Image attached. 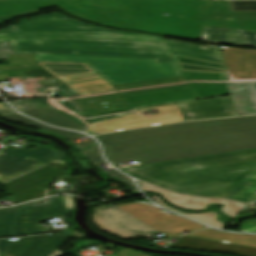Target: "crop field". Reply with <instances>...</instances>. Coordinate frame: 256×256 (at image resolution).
<instances>
[{
    "label": "crop field",
    "instance_id": "1",
    "mask_svg": "<svg viewBox=\"0 0 256 256\" xmlns=\"http://www.w3.org/2000/svg\"><path fill=\"white\" fill-rule=\"evenodd\" d=\"M51 5L84 21L152 33L199 38L205 26L256 31V12H233L217 0H0V17Z\"/></svg>",
    "mask_w": 256,
    "mask_h": 256
},
{
    "label": "crop field",
    "instance_id": "2",
    "mask_svg": "<svg viewBox=\"0 0 256 256\" xmlns=\"http://www.w3.org/2000/svg\"><path fill=\"white\" fill-rule=\"evenodd\" d=\"M10 41L16 53H85L172 61L170 54H182L221 61L218 46L208 47L169 41L159 36L113 31L90 26L62 14L21 20L0 30V42Z\"/></svg>",
    "mask_w": 256,
    "mask_h": 256
},
{
    "label": "crop field",
    "instance_id": "3",
    "mask_svg": "<svg viewBox=\"0 0 256 256\" xmlns=\"http://www.w3.org/2000/svg\"><path fill=\"white\" fill-rule=\"evenodd\" d=\"M112 162L141 165L256 148V116L178 123L97 137Z\"/></svg>",
    "mask_w": 256,
    "mask_h": 256
},
{
    "label": "crop field",
    "instance_id": "4",
    "mask_svg": "<svg viewBox=\"0 0 256 256\" xmlns=\"http://www.w3.org/2000/svg\"><path fill=\"white\" fill-rule=\"evenodd\" d=\"M121 170L171 191L223 198L243 178L256 170V150Z\"/></svg>",
    "mask_w": 256,
    "mask_h": 256
},
{
    "label": "crop field",
    "instance_id": "5",
    "mask_svg": "<svg viewBox=\"0 0 256 256\" xmlns=\"http://www.w3.org/2000/svg\"><path fill=\"white\" fill-rule=\"evenodd\" d=\"M35 62L85 63L112 85L180 76L174 61L85 54H38Z\"/></svg>",
    "mask_w": 256,
    "mask_h": 256
},
{
    "label": "crop field",
    "instance_id": "6",
    "mask_svg": "<svg viewBox=\"0 0 256 256\" xmlns=\"http://www.w3.org/2000/svg\"><path fill=\"white\" fill-rule=\"evenodd\" d=\"M74 208L70 196L54 197L17 207L9 237L43 233L39 222L49 217H65L68 209Z\"/></svg>",
    "mask_w": 256,
    "mask_h": 256
},
{
    "label": "crop field",
    "instance_id": "7",
    "mask_svg": "<svg viewBox=\"0 0 256 256\" xmlns=\"http://www.w3.org/2000/svg\"><path fill=\"white\" fill-rule=\"evenodd\" d=\"M59 160H62L61 157L51 147H40L32 150L24 147L16 151L7 146L0 153V182L4 184L45 163Z\"/></svg>",
    "mask_w": 256,
    "mask_h": 256
},
{
    "label": "crop field",
    "instance_id": "8",
    "mask_svg": "<svg viewBox=\"0 0 256 256\" xmlns=\"http://www.w3.org/2000/svg\"><path fill=\"white\" fill-rule=\"evenodd\" d=\"M92 222L98 229L124 239L159 234L114 206L93 208Z\"/></svg>",
    "mask_w": 256,
    "mask_h": 256
},
{
    "label": "crop field",
    "instance_id": "9",
    "mask_svg": "<svg viewBox=\"0 0 256 256\" xmlns=\"http://www.w3.org/2000/svg\"><path fill=\"white\" fill-rule=\"evenodd\" d=\"M38 100L49 105L50 107L62 112L63 114L67 115L70 119L80 123L82 126L87 127V129H90V127L94 123L143 116L144 114H142V112L146 111V110H150V109H158L159 113L180 110L178 104H176V105H166V106L134 110V111H128V112L105 114V115H99V116L88 118L70 98H67V99H38Z\"/></svg>",
    "mask_w": 256,
    "mask_h": 256
},
{
    "label": "crop field",
    "instance_id": "10",
    "mask_svg": "<svg viewBox=\"0 0 256 256\" xmlns=\"http://www.w3.org/2000/svg\"><path fill=\"white\" fill-rule=\"evenodd\" d=\"M68 237L59 233L52 236L20 238L14 242L8 240L5 256H58L63 253L57 249L67 243Z\"/></svg>",
    "mask_w": 256,
    "mask_h": 256
},
{
    "label": "crop field",
    "instance_id": "11",
    "mask_svg": "<svg viewBox=\"0 0 256 256\" xmlns=\"http://www.w3.org/2000/svg\"><path fill=\"white\" fill-rule=\"evenodd\" d=\"M179 105L185 121L236 116L231 95Z\"/></svg>",
    "mask_w": 256,
    "mask_h": 256
},
{
    "label": "crop field",
    "instance_id": "12",
    "mask_svg": "<svg viewBox=\"0 0 256 256\" xmlns=\"http://www.w3.org/2000/svg\"><path fill=\"white\" fill-rule=\"evenodd\" d=\"M226 79L237 116L256 114V78L226 76Z\"/></svg>",
    "mask_w": 256,
    "mask_h": 256
},
{
    "label": "crop field",
    "instance_id": "13",
    "mask_svg": "<svg viewBox=\"0 0 256 256\" xmlns=\"http://www.w3.org/2000/svg\"><path fill=\"white\" fill-rule=\"evenodd\" d=\"M184 121L180 111L94 124L87 132L91 135L133 129L163 123Z\"/></svg>",
    "mask_w": 256,
    "mask_h": 256
},
{
    "label": "crop field",
    "instance_id": "14",
    "mask_svg": "<svg viewBox=\"0 0 256 256\" xmlns=\"http://www.w3.org/2000/svg\"><path fill=\"white\" fill-rule=\"evenodd\" d=\"M144 191L159 192L169 200L171 203L187 209H205L207 204L220 203L224 204L222 211L232 216L233 218L246 206L245 204L235 203L227 200H212L195 197L181 196L178 194L170 193L159 188L153 187L146 183L140 182ZM231 217V218H232Z\"/></svg>",
    "mask_w": 256,
    "mask_h": 256
},
{
    "label": "crop field",
    "instance_id": "15",
    "mask_svg": "<svg viewBox=\"0 0 256 256\" xmlns=\"http://www.w3.org/2000/svg\"><path fill=\"white\" fill-rule=\"evenodd\" d=\"M51 164H53L54 166L51 167L50 164H46L4 185L9 190V192L15 193L23 189L35 186L37 184L49 181L51 179L61 177L56 172L67 169L66 163L64 161H59Z\"/></svg>",
    "mask_w": 256,
    "mask_h": 256
},
{
    "label": "crop field",
    "instance_id": "16",
    "mask_svg": "<svg viewBox=\"0 0 256 256\" xmlns=\"http://www.w3.org/2000/svg\"><path fill=\"white\" fill-rule=\"evenodd\" d=\"M200 39L206 42L256 47V32L206 27Z\"/></svg>",
    "mask_w": 256,
    "mask_h": 256
},
{
    "label": "crop field",
    "instance_id": "17",
    "mask_svg": "<svg viewBox=\"0 0 256 256\" xmlns=\"http://www.w3.org/2000/svg\"><path fill=\"white\" fill-rule=\"evenodd\" d=\"M181 72L223 74V63L172 54Z\"/></svg>",
    "mask_w": 256,
    "mask_h": 256
},
{
    "label": "crop field",
    "instance_id": "18",
    "mask_svg": "<svg viewBox=\"0 0 256 256\" xmlns=\"http://www.w3.org/2000/svg\"><path fill=\"white\" fill-rule=\"evenodd\" d=\"M27 85L23 86L25 90H33L34 92L53 91V92L59 94L60 97H62V98L79 96L76 92H74L70 88H68L59 79L45 81V82H39V83H33V84H30L31 86H27Z\"/></svg>",
    "mask_w": 256,
    "mask_h": 256
},
{
    "label": "crop field",
    "instance_id": "19",
    "mask_svg": "<svg viewBox=\"0 0 256 256\" xmlns=\"http://www.w3.org/2000/svg\"><path fill=\"white\" fill-rule=\"evenodd\" d=\"M255 193H256V180L246 178L226 198L245 202V203H252L256 201Z\"/></svg>",
    "mask_w": 256,
    "mask_h": 256
},
{
    "label": "crop field",
    "instance_id": "20",
    "mask_svg": "<svg viewBox=\"0 0 256 256\" xmlns=\"http://www.w3.org/2000/svg\"><path fill=\"white\" fill-rule=\"evenodd\" d=\"M82 154L85 155L86 158L90 159L95 165H100V164H104L105 161L101 158L100 154H99V150H98V146L97 144L94 145L92 148H90L89 150H84L81 151ZM99 167V166H98ZM100 168V167H99ZM100 170L104 171L103 169L100 168ZM105 172V171H104ZM108 175H110L111 177H115L118 180L122 181L124 184H126L130 190H132L133 192H139V190L136 188V186L134 185V183L132 182V180L127 177L124 176L122 174H120L119 172L112 170V171H108L105 172Z\"/></svg>",
    "mask_w": 256,
    "mask_h": 256
},
{
    "label": "crop field",
    "instance_id": "21",
    "mask_svg": "<svg viewBox=\"0 0 256 256\" xmlns=\"http://www.w3.org/2000/svg\"><path fill=\"white\" fill-rule=\"evenodd\" d=\"M9 74L10 78L14 77L16 83H20L19 81H22L23 84L56 79L55 76L44 69L14 71L9 72Z\"/></svg>",
    "mask_w": 256,
    "mask_h": 256
},
{
    "label": "crop field",
    "instance_id": "22",
    "mask_svg": "<svg viewBox=\"0 0 256 256\" xmlns=\"http://www.w3.org/2000/svg\"><path fill=\"white\" fill-rule=\"evenodd\" d=\"M23 113L26 115H29L33 118H36L38 120H41L47 124H52V123L68 120V118H66L62 114L58 113L57 111H55L49 107L36 109V110H32V111H27V112H23Z\"/></svg>",
    "mask_w": 256,
    "mask_h": 256
},
{
    "label": "crop field",
    "instance_id": "23",
    "mask_svg": "<svg viewBox=\"0 0 256 256\" xmlns=\"http://www.w3.org/2000/svg\"><path fill=\"white\" fill-rule=\"evenodd\" d=\"M159 205L165 207V208H168L165 204H163L161 202V199H159L158 197L156 196H151ZM170 209V208H168ZM172 210V209H170ZM172 211H175V212H178L180 214H183V215H186V216H189L191 218H194L198 221H201L203 223H206L212 227H215V228H218V229H222V222H220L219 220L216 219V214L214 213H206V214H202V215H190V214H184L182 212H179V211H176V210H172Z\"/></svg>",
    "mask_w": 256,
    "mask_h": 256
},
{
    "label": "crop field",
    "instance_id": "24",
    "mask_svg": "<svg viewBox=\"0 0 256 256\" xmlns=\"http://www.w3.org/2000/svg\"><path fill=\"white\" fill-rule=\"evenodd\" d=\"M16 207L0 209V238L9 236Z\"/></svg>",
    "mask_w": 256,
    "mask_h": 256
},
{
    "label": "crop field",
    "instance_id": "25",
    "mask_svg": "<svg viewBox=\"0 0 256 256\" xmlns=\"http://www.w3.org/2000/svg\"><path fill=\"white\" fill-rule=\"evenodd\" d=\"M10 103L20 112L45 107L44 104L36 99L15 100L11 101Z\"/></svg>",
    "mask_w": 256,
    "mask_h": 256
},
{
    "label": "crop field",
    "instance_id": "26",
    "mask_svg": "<svg viewBox=\"0 0 256 256\" xmlns=\"http://www.w3.org/2000/svg\"><path fill=\"white\" fill-rule=\"evenodd\" d=\"M234 11H256V1H229Z\"/></svg>",
    "mask_w": 256,
    "mask_h": 256
},
{
    "label": "crop field",
    "instance_id": "27",
    "mask_svg": "<svg viewBox=\"0 0 256 256\" xmlns=\"http://www.w3.org/2000/svg\"><path fill=\"white\" fill-rule=\"evenodd\" d=\"M3 119H6L8 121H17V122H22L26 125H29V126H34V127H37V128H42V127H46L40 123H37L35 121H32L26 117H23L19 114H15V115H11V116H7V117H3Z\"/></svg>",
    "mask_w": 256,
    "mask_h": 256
},
{
    "label": "crop field",
    "instance_id": "28",
    "mask_svg": "<svg viewBox=\"0 0 256 256\" xmlns=\"http://www.w3.org/2000/svg\"><path fill=\"white\" fill-rule=\"evenodd\" d=\"M54 126L61 127V128H67V129H73V130H79V131H84L86 128L80 126L79 124L69 120L57 124H53Z\"/></svg>",
    "mask_w": 256,
    "mask_h": 256
},
{
    "label": "crop field",
    "instance_id": "29",
    "mask_svg": "<svg viewBox=\"0 0 256 256\" xmlns=\"http://www.w3.org/2000/svg\"><path fill=\"white\" fill-rule=\"evenodd\" d=\"M240 229L241 231H246V232H256V219L244 221Z\"/></svg>",
    "mask_w": 256,
    "mask_h": 256
},
{
    "label": "crop field",
    "instance_id": "30",
    "mask_svg": "<svg viewBox=\"0 0 256 256\" xmlns=\"http://www.w3.org/2000/svg\"><path fill=\"white\" fill-rule=\"evenodd\" d=\"M42 129H46L51 132L58 133L67 139H69L71 136L76 137V136L82 135L80 133H75V132L66 131V130H59V129L50 128V127H46V128H42Z\"/></svg>",
    "mask_w": 256,
    "mask_h": 256
},
{
    "label": "crop field",
    "instance_id": "31",
    "mask_svg": "<svg viewBox=\"0 0 256 256\" xmlns=\"http://www.w3.org/2000/svg\"><path fill=\"white\" fill-rule=\"evenodd\" d=\"M15 54L10 42L0 43V55Z\"/></svg>",
    "mask_w": 256,
    "mask_h": 256
},
{
    "label": "crop field",
    "instance_id": "32",
    "mask_svg": "<svg viewBox=\"0 0 256 256\" xmlns=\"http://www.w3.org/2000/svg\"><path fill=\"white\" fill-rule=\"evenodd\" d=\"M15 114V112L3 102H0V117Z\"/></svg>",
    "mask_w": 256,
    "mask_h": 256
},
{
    "label": "crop field",
    "instance_id": "33",
    "mask_svg": "<svg viewBox=\"0 0 256 256\" xmlns=\"http://www.w3.org/2000/svg\"><path fill=\"white\" fill-rule=\"evenodd\" d=\"M103 256H106V255H103ZM115 256H147V255L141 254V253L136 252V251L124 249L123 252H121V253H119Z\"/></svg>",
    "mask_w": 256,
    "mask_h": 256
},
{
    "label": "crop field",
    "instance_id": "34",
    "mask_svg": "<svg viewBox=\"0 0 256 256\" xmlns=\"http://www.w3.org/2000/svg\"><path fill=\"white\" fill-rule=\"evenodd\" d=\"M35 13H39V11H33V12L21 14V15L0 18V24L3 23V22L11 21V20L15 19L16 17L27 16V15H31V14H35Z\"/></svg>",
    "mask_w": 256,
    "mask_h": 256
},
{
    "label": "crop field",
    "instance_id": "35",
    "mask_svg": "<svg viewBox=\"0 0 256 256\" xmlns=\"http://www.w3.org/2000/svg\"><path fill=\"white\" fill-rule=\"evenodd\" d=\"M103 27H105V26H103ZM109 28H115V27H109ZM116 29H121V28H116ZM122 30H127V29H122ZM129 31H133V30H129ZM136 32H140V31H136ZM142 33H146V32H142ZM149 34H152V33H149ZM155 35H160V34H155ZM162 36L175 37V38H181V39H188V40H194V41L198 40V39L189 38V37H179V36H170V35H162Z\"/></svg>",
    "mask_w": 256,
    "mask_h": 256
},
{
    "label": "crop field",
    "instance_id": "36",
    "mask_svg": "<svg viewBox=\"0 0 256 256\" xmlns=\"http://www.w3.org/2000/svg\"><path fill=\"white\" fill-rule=\"evenodd\" d=\"M8 239L0 240V256H4V251Z\"/></svg>",
    "mask_w": 256,
    "mask_h": 256
},
{
    "label": "crop field",
    "instance_id": "37",
    "mask_svg": "<svg viewBox=\"0 0 256 256\" xmlns=\"http://www.w3.org/2000/svg\"><path fill=\"white\" fill-rule=\"evenodd\" d=\"M7 59H8L7 56H0V60H7ZM223 95H226V94H223ZM217 96H221V95H217ZM217 96H210V97H204V98H198V99L212 98V97H217ZM191 100H196V99H191ZM185 101H188V100H185ZM178 102H180V101H178ZM172 103H174V102H172ZM165 104H168V103H165ZM159 105H161V104H159ZM153 106H155V105H153ZM146 107H149V106H146ZM140 108H143V107H140ZM136 109H138V108H136Z\"/></svg>",
    "mask_w": 256,
    "mask_h": 256
},
{
    "label": "crop field",
    "instance_id": "38",
    "mask_svg": "<svg viewBox=\"0 0 256 256\" xmlns=\"http://www.w3.org/2000/svg\"><path fill=\"white\" fill-rule=\"evenodd\" d=\"M0 80H9L8 72L0 73Z\"/></svg>",
    "mask_w": 256,
    "mask_h": 256
},
{
    "label": "crop field",
    "instance_id": "39",
    "mask_svg": "<svg viewBox=\"0 0 256 256\" xmlns=\"http://www.w3.org/2000/svg\"><path fill=\"white\" fill-rule=\"evenodd\" d=\"M93 143H95V142L92 141V142L80 144V145H77L76 147H78V148H80V149H83V148L89 147V146L92 145Z\"/></svg>",
    "mask_w": 256,
    "mask_h": 256
},
{
    "label": "crop field",
    "instance_id": "40",
    "mask_svg": "<svg viewBox=\"0 0 256 256\" xmlns=\"http://www.w3.org/2000/svg\"><path fill=\"white\" fill-rule=\"evenodd\" d=\"M249 178L256 179V171H254L252 174L248 176Z\"/></svg>",
    "mask_w": 256,
    "mask_h": 256
},
{
    "label": "crop field",
    "instance_id": "41",
    "mask_svg": "<svg viewBox=\"0 0 256 256\" xmlns=\"http://www.w3.org/2000/svg\"><path fill=\"white\" fill-rule=\"evenodd\" d=\"M95 255H97V254H95ZM95 255H92V256H95Z\"/></svg>",
    "mask_w": 256,
    "mask_h": 256
}]
</instances>
